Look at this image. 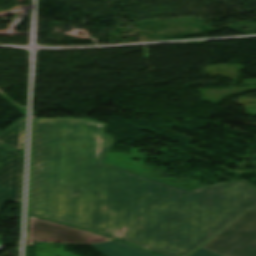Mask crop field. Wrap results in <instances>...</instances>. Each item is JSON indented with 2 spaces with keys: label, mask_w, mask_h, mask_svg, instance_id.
<instances>
[{
  "label": "crop field",
  "mask_w": 256,
  "mask_h": 256,
  "mask_svg": "<svg viewBox=\"0 0 256 256\" xmlns=\"http://www.w3.org/2000/svg\"><path fill=\"white\" fill-rule=\"evenodd\" d=\"M27 240L61 241V242H99L109 238L91 234L75 228L30 217Z\"/></svg>",
  "instance_id": "obj_3"
},
{
  "label": "crop field",
  "mask_w": 256,
  "mask_h": 256,
  "mask_svg": "<svg viewBox=\"0 0 256 256\" xmlns=\"http://www.w3.org/2000/svg\"><path fill=\"white\" fill-rule=\"evenodd\" d=\"M106 124L34 118L31 214L133 243L162 256H189L249 208L243 180L187 191L103 162Z\"/></svg>",
  "instance_id": "obj_1"
},
{
  "label": "crop field",
  "mask_w": 256,
  "mask_h": 256,
  "mask_svg": "<svg viewBox=\"0 0 256 256\" xmlns=\"http://www.w3.org/2000/svg\"><path fill=\"white\" fill-rule=\"evenodd\" d=\"M90 246L104 256H156L117 240Z\"/></svg>",
  "instance_id": "obj_5"
},
{
  "label": "crop field",
  "mask_w": 256,
  "mask_h": 256,
  "mask_svg": "<svg viewBox=\"0 0 256 256\" xmlns=\"http://www.w3.org/2000/svg\"><path fill=\"white\" fill-rule=\"evenodd\" d=\"M202 248L222 256H256V211L250 209Z\"/></svg>",
  "instance_id": "obj_2"
},
{
  "label": "crop field",
  "mask_w": 256,
  "mask_h": 256,
  "mask_svg": "<svg viewBox=\"0 0 256 256\" xmlns=\"http://www.w3.org/2000/svg\"><path fill=\"white\" fill-rule=\"evenodd\" d=\"M25 118L0 132V142L22 150L24 138Z\"/></svg>",
  "instance_id": "obj_6"
},
{
  "label": "crop field",
  "mask_w": 256,
  "mask_h": 256,
  "mask_svg": "<svg viewBox=\"0 0 256 256\" xmlns=\"http://www.w3.org/2000/svg\"><path fill=\"white\" fill-rule=\"evenodd\" d=\"M192 256H219V255L214 254V253H212L210 251H207L205 249L200 248Z\"/></svg>",
  "instance_id": "obj_7"
},
{
  "label": "crop field",
  "mask_w": 256,
  "mask_h": 256,
  "mask_svg": "<svg viewBox=\"0 0 256 256\" xmlns=\"http://www.w3.org/2000/svg\"><path fill=\"white\" fill-rule=\"evenodd\" d=\"M252 209L256 210V208H252Z\"/></svg>",
  "instance_id": "obj_8"
},
{
  "label": "crop field",
  "mask_w": 256,
  "mask_h": 256,
  "mask_svg": "<svg viewBox=\"0 0 256 256\" xmlns=\"http://www.w3.org/2000/svg\"><path fill=\"white\" fill-rule=\"evenodd\" d=\"M22 153L0 145V208L5 199L20 202Z\"/></svg>",
  "instance_id": "obj_4"
}]
</instances>
